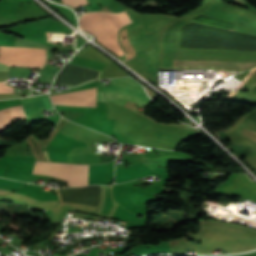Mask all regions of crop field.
<instances>
[{"label": "crop field", "instance_id": "6", "mask_svg": "<svg viewBox=\"0 0 256 256\" xmlns=\"http://www.w3.org/2000/svg\"><path fill=\"white\" fill-rule=\"evenodd\" d=\"M256 62L223 60V59H199V58H175L174 67H221V68H246Z\"/></svg>", "mask_w": 256, "mask_h": 256}, {"label": "crop field", "instance_id": "9", "mask_svg": "<svg viewBox=\"0 0 256 256\" xmlns=\"http://www.w3.org/2000/svg\"><path fill=\"white\" fill-rule=\"evenodd\" d=\"M62 2L72 7L88 3L87 0H62Z\"/></svg>", "mask_w": 256, "mask_h": 256}, {"label": "crop field", "instance_id": "4", "mask_svg": "<svg viewBox=\"0 0 256 256\" xmlns=\"http://www.w3.org/2000/svg\"><path fill=\"white\" fill-rule=\"evenodd\" d=\"M69 168L70 164L68 163L35 161L32 174H42L68 181ZM69 182L85 186L86 165L71 164Z\"/></svg>", "mask_w": 256, "mask_h": 256}, {"label": "crop field", "instance_id": "5", "mask_svg": "<svg viewBox=\"0 0 256 256\" xmlns=\"http://www.w3.org/2000/svg\"><path fill=\"white\" fill-rule=\"evenodd\" d=\"M26 117L51 109L46 95L20 100ZM22 106H15L0 110V132L10 127L12 121L26 118Z\"/></svg>", "mask_w": 256, "mask_h": 256}, {"label": "crop field", "instance_id": "7", "mask_svg": "<svg viewBox=\"0 0 256 256\" xmlns=\"http://www.w3.org/2000/svg\"><path fill=\"white\" fill-rule=\"evenodd\" d=\"M55 95H67V96L96 98V88L84 90V91L72 92V93L55 94ZM55 95H50L54 104L96 107V99L67 97V96H55Z\"/></svg>", "mask_w": 256, "mask_h": 256}, {"label": "crop field", "instance_id": "8", "mask_svg": "<svg viewBox=\"0 0 256 256\" xmlns=\"http://www.w3.org/2000/svg\"><path fill=\"white\" fill-rule=\"evenodd\" d=\"M59 68L46 64L40 73L39 81L51 83Z\"/></svg>", "mask_w": 256, "mask_h": 256}, {"label": "crop field", "instance_id": "2", "mask_svg": "<svg viewBox=\"0 0 256 256\" xmlns=\"http://www.w3.org/2000/svg\"><path fill=\"white\" fill-rule=\"evenodd\" d=\"M126 100L141 106L152 102L143 88L131 78L111 79V86L97 87V102L123 106Z\"/></svg>", "mask_w": 256, "mask_h": 256}, {"label": "crop field", "instance_id": "1", "mask_svg": "<svg viewBox=\"0 0 256 256\" xmlns=\"http://www.w3.org/2000/svg\"><path fill=\"white\" fill-rule=\"evenodd\" d=\"M80 28L95 35L97 41L115 52L118 56L124 54L116 42L117 30L131 23L126 12L120 14L91 12L83 14L79 19Z\"/></svg>", "mask_w": 256, "mask_h": 256}, {"label": "crop field", "instance_id": "3", "mask_svg": "<svg viewBox=\"0 0 256 256\" xmlns=\"http://www.w3.org/2000/svg\"><path fill=\"white\" fill-rule=\"evenodd\" d=\"M45 62V49L0 46V70H8V66L42 68Z\"/></svg>", "mask_w": 256, "mask_h": 256}, {"label": "crop field", "instance_id": "10", "mask_svg": "<svg viewBox=\"0 0 256 256\" xmlns=\"http://www.w3.org/2000/svg\"><path fill=\"white\" fill-rule=\"evenodd\" d=\"M0 93H13V88L8 87L4 82H0Z\"/></svg>", "mask_w": 256, "mask_h": 256}]
</instances>
